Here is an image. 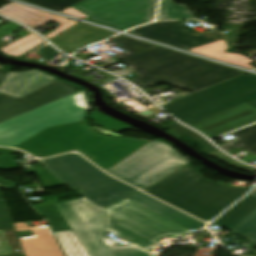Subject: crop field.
Instances as JSON below:
<instances>
[{
	"instance_id": "obj_23",
	"label": "crop field",
	"mask_w": 256,
	"mask_h": 256,
	"mask_svg": "<svg viewBox=\"0 0 256 256\" xmlns=\"http://www.w3.org/2000/svg\"><path fill=\"white\" fill-rule=\"evenodd\" d=\"M250 195L256 196V189ZM232 232L256 244V211L235 227Z\"/></svg>"
},
{
	"instance_id": "obj_20",
	"label": "crop field",
	"mask_w": 256,
	"mask_h": 256,
	"mask_svg": "<svg viewBox=\"0 0 256 256\" xmlns=\"http://www.w3.org/2000/svg\"><path fill=\"white\" fill-rule=\"evenodd\" d=\"M26 31L32 33L31 35L0 49V52L10 56L19 58L25 53L45 43L39 36L35 35L28 29Z\"/></svg>"
},
{
	"instance_id": "obj_36",
	"label": "crop field",
	"mask_w": 256,
	"mask_h": 256,
	"mask_svg": "<svg viewBox=\"0 0 256 256\" xmlns=\"http://www.w3.org/2000/svg\"><path fill=\"white\" fill-rule=\"evenodd\" d=\"M130 129H135V128L122 123L119 126H117L116 128H114L113 131H124V130H130Z\"/></svg>"
},
{
	"instance_id": "obj_14",
	"label": "crop field",
	"mask_w": 256,
	"mask_h": 256,
	"mask_svg": "<svg viewBox=\"0 0 256 256\" xmlns=\"http://www.w3.org/2000/svg\"><path fill=\"white\" fill-rule=\"evenodd\" d=\"M54 79L56 78L40 71L10 72L3 81L0 92L19 98Z\"/></svg>"
},
{
	"instance_id": "obj_18",
	"label": "crop field",
	"mask_w": 256,
	"mask_h": 256,
	"mask_svg": "<svg viewBox=\"0 0 256 256\" xmlns=\"http://www.w3.org/2000/svg\"><path fill=\"white\" fill-rule=\"evenodd\" d=\"M0 10H1L0 11L1 14L9 16L26 25H29L33 22H36L40 19H43L45 17L52 15L37 9L25 7V6L14 4V3Z\"/></svg>"
},
{
	"instance_id": "obj_22",
	"label": "crop field",
	"mask_w": 256,
	"mask_h": 256,
	"mask_svg": "<svg viewBox=\"0 0 256 256\" xmlns=\"http://www.w3.org/2000/svg\"><path fill=\"white\" fill-rule=\"evenodd\" d=\"M55 234L67 256H89L73 230Z\"/></svg>"
},
{
	"instance_id": "obj_6",
	"label": "crop field",
	"mask_w": 256,
	"mask_h": 256,
	"mask_svg": "<svg viewBox=\"0 0 256 256\" xmlns=\"http://www.w3.org/2000/svg\"><path fill=\"white\" fill-rule=\"evenodd\" d=\"M81 92L0 123V146L14 147L47 127L83 120L87 110L74 100Z\"/></svg>"
},
{
	"instance_id": "obj_17",
	"label": "crop field",
	"mask_w": 256,
	"mask_h": 256,
	"mask_svg": "<svg viewBox=\"0 0 256 256\" xmlns=\"http://www.w3.org/2000/svg\"><path fill=\"white\" fill-rule=\"evenodd\" d=\"M227 48H229L226 43L225 39L216 41L201 47H197L191 49L190 51L197 52L206 56H210L219 60H223L229 63H233L242 67H246L249 69L255 68L250 63L254 62L243 55H235L231 53L224 52Z\"/></svg>"
},
{
	"instance_id": "obj_39",
	"label": "crop field",
	"mask_w": 256,
	"mask_h": 256,
	"mask_svg": "<svg viewBox=\"0 0 256 256\" xmlns=\"http://www.w3.org/2000/svg\"><path fill=\"white\" fill-rule=\"evenodd\" d=\"M15 256H24V255H15Z\"/></svg>"
},
{
	"instance_id": "obj_13",
	"label": "crop field",
	"mask_w": 256,
	"mask_h": 256,
	"mask_svg": "<svg viewBox=\"0 0 256 256\" xmlns=\"http://www.w3.org/2000/svg\"><path fill=\"white\" fill-rule=\"evenodd\" d=\"M15 226L17 231L32 230L35 233L34 238L20 241L25 256H63L49 226L32 228L24 223Z\"/></svg>"
},
{
	"instance_id": "obj_35",
	"label": "crop field",
	"mask_w": 256,
	"mask_h": 256,
	"mask_svg": "<svg viewBox=\"0 0 256 256\" xmlns=\"http://www.w3.org/2000/svg\"><path fill=\"white\" fill-rule=\"evenodd\" d=\"M0 184L5 185L11 189H16V187L18 185L17 183H14L12 181H9V180L3 179V178H0Z\"/></svg>"
},
{
	"instance_id": "obj_8",
	"label": "crop field",
	"mask_w": 256,
	"mask_h": 256,
	"mask_svg": "<svg viewBox=\"0 0 256 256\" xmlns=\"http://www.w3.org/2000/svg\"><path fill=\"white\" fill-rule=\"evenodd\" d=\"M83 88L61 80H54L20 98L0 93V122L77 92Z\"/></svg>"
},
{
	"instance_id": "obj_7",
	"label": "crop field",
	"mask_w": 256,
	"mask_h": 256,
	"mask_svg": "<svg viewBox=\"0 0 256 256\" xmlns=\"http://www.w3.org/2000/svg\"><path fill=\"white\" fill-rule=\"evenodd\" d=\"M188 163L175 149L154 140L107 172L143 190Z\"/></svg>"
},
{
	"instance_id": "obj_4",
	"label": "crop field",
	"mask_w": 256,
	"mask_h": 256,
	"mask_svg": "<svg viewBox=\"0 0 256 256\" xmlns=\"http://www.w3.org/2000/svg\"><path fill=\"white\" fill-rule=\"evenodd\" d=\"M221 184L208 182L198 170L188 165L144 192L210 222L251 189L230 188Z\"/></svg>"
},
{
	"instance_id": "obj_27",
	"label": "crop field",
	"mask_w": 256,
	"mask_h": 256,
	"mask_svg": "<svg viewBox=\"0 0 256 256\" xmlns=\"http://www.w3.org/2000/svg\"><path fill=\"white\" fill-rule=\"evenodd\" d=\"M50 21H53L55 23L60 24L58 27H60L59 29L45 35L49 40L54 38L55 36L59 35L60 33L64 32L65 30L69 29L70 27L74 26L75 24H77L78 22L60 17V16H56V15H52L48 18H45L41 21H38L36 23H33L31 25H29L30 27L36 29Z\"/></svg>"
},
{
	"instance_id": "obj_21",
	"label": "crop field",
	"mask_w": 256,
	"mask_h": 256,
	"mask_svg": "<svg viewBox=\"0 0 256 256\" xmlns=\"http://www.w3.org/2000/svg\"><path fill=\"white\" fill-rule=\"evenodd\" d=\"M196 18L186 5H176L173 0H162L157 20Z\"/></svg>"
},
{
	"instance_id": "obj_34",
	"label": "crop field",
	"mask_w": 256,
	"mask_h": 256,
	"mask_svg": "<svg viewBox=\"0 0 256 256\" xmlns=\"http://www.w3.org/2000/svg\"><path fill=\"white\" fill-rule=\"evenodd\" d=\"M62 12L66 13V14H70V15L76 16V17H80V18H83V19L87 18L86 15H84L83 13L77 11L76 9H74L72 7L68 8V9H66V10H64Z\"/></svg>"
},
{
	"instance_id": "obj_37",
	"label": "crop field",
	"mask_w": 256,
	"mask_h": 256,
	"mask_svg": "<svg viewBox=\"0 0 256 256\" xmlns=\"http://www.w3.org/2000/svg\"><path fill=\"white\" fill-rule=\"evenodd\" d=\"M18 153V151L11 150V149H0V154H15Z\"/></svg>"
},
{
	"instance_id": "obj_2",
	"label": "crop field",
	"mask_w": 256,
	"mask_h": 256,
	"mask_svg": "<svg viewBox=\"0 0 256 256\" xmlns=\"http://www.w3.org/2000/svg\"><path fill=\"white\" fill-rule=\"evenodd\" d=\"M114 40L126 51L114 58L140 76L130 82L143 91L163 83L196 93L246 73L122 35Z\"/></svg>"
},
{
	"instance_id": "obj_28",
	"label": "crop field",
	"mask_w": 256,
	"mask_h": 256,
	"mask_svg": "<svg viewBox=\"0 0 256 256\" xmlns=\"http://www.w3.org/2000/svg\"><path fill=\"white\" fill-rule=\"evenodd\" d=\"M22 1L30 2V3L60 12L63 9L69 6H72L82 0H22Z\"/></svg>"
},
{
	"instance_id": "obj_24",
	"label": "crop field",
	"mask_w": 256,
	"mask_h": 256,
	"mask_svg": "<svg viewBox=\"0 0 256 256\" xmlns=\"http://www.w3.org/2000/svg\"><path fill=\"white\" fill-rule=\"evenodd\" d=\"M129 0H85L75 6L77 10L83 12L84 14L90 16L99 11L107 9L119 3H123Z\"/></svg>"
},
{
	"instance_id": "obj_10",
	"label": "crop field",
	"mask_w": 256,
	"mask_h": 256,
	"mask_svg": "<svg viewBox=\"0 0 256 256\" xmlns=\"http://www.w3.org/2000/svg\"><path fill=\"white\" fill-rule=\"evenodd\" d=\"M158 0H132L90 16L86 21L124 31L152 21Z\"/></svg>"
},
{
	"instance_id": "obj_16",
	"label": "crop field",
	"mask_w": 256,
	"mask_h": 256,
	"mask_svg": "<svg viewBox=\"0 0 256 256\" xmlns=\"http://www.w3.org/2000/svg\"><path fill=\"white\" fill-rule=\"evenodd\" d=\"M256 210V197L248 195L212 224L233 229Z\"/></svg>"
},
{
	"instance_id": "obj_33",
	"label": "crop field",
	"mask_w": 256,
	"mask_h": 256,
	"mask_svg": "<svg viewBox=\"0 0 256 256\" xmlns=\"http://www.w3.org/2000/svg\"><path fill=\"white\" fill-rule=\"evenodd\" d=\"M75 99H76V102L83 106L84 108H88L89 106V103H88V100H87V96H86V93H81L79 95H76L75 96Z\"/></svg>"
},
{
	"instance_id": "obj_9",
	"label": "crop field",
	"mask_w": 256,
	"mask_h": 256,
	"mask_svg": "<svg viewBox=\"0 0 256 256\" xmlns=\"http://www.w3.org/2000/svg\"><path fill=\"white\" fill-rule=\"evenodd\" d=\"M186 28L189 27L182 24L181 21L159 22L136 28L129 33L185 50L224 39V37L214 29L196 36L184 30Z\"/></svg>"
},
{
	"instance_id": "obj_32",
	"label": "crop field",
	"mask_w": 256,
	"mask_h": 256,
	"mask_svg": "<svg viewBox=\"0 0 256 256\" xmlns=\"http://www.w3.org/2000/svg\"><path fill=\"white\" fill-rule=\"evenodd\" d=\"M9 228H12V224L10 222L4 203L0 202V230Z\"/></svg>"
},
{
	"instance_id": "obj_26",
	"label": "crop field",
	"mask_w": 256,
	"mask_h": 256,
	"mask_svg": "<svg viewBox=\"0 0 256 256\" xmlns=\"http://www.w3.org/2000/svg\"><path fill=\"white\" fill-rule=\"evenodd\" d=\"M169 126H171L175 129H177L178 131L184 133L189 138L194 140L197 144H199L201 147H203V150L200 151L201 153L206 154V153H209L211 151L217 150V148H215L207 139H205L203 136L199 135L195 131H193V130L187 128V127L181 126L177 122H173V123H171L169 125H166L164 127L167 128Z\"/></svg>"
},
{
	"instance_id": "obj_38",
	"label": "crop field",
	"mask_w": 256,
	"mask_h": 256,
	"mask_svg": "<svg viewBox=\"0 0 256 256\" xmlns=\"http://www.w3.org/2000/svg\"><path fill=\"white\" fill-rule=\"evenodd\" d=\"M9 72L0 70V85Z\"/></svg>"
},
{
	"instance_id": "obj_12",
	"label": "crop field",
	"mask_w": 256,
	"mask_h": 256,
	"mask_svg": "<svg viewBox=\"0 0 256 256\" xmlns=\"http://www.w3.org/2000/svg\"><path fill=\"white\" fill-rule=\"evenodd\" d=\"M113 35L115 34L80 23L50 42L70 54Z\"/></svg>"
},
{
	"instance_id": "obj_25",
	"label": "crop field",
	"mask_w": 256,
	"mask_h": 256,
	"mask_svg": "<svg viewBox=\"0 0 256 256\" xmlns=\"http://www.w3.org/2000/svg\"><path fill=\"white\" fill-rule=\"evenodd\" d=\"M14 254L22 253L13 229L0 231V255Z\"/></svg>"
},
{
	"instance_id": "obj_15",
	"label": "crop field",
	"mask_w": 256,
	"mask_h": 256,
	"mask_svg": "<svg viewBox=\"0 0 256 256\" xmlns=\"http://www.w3.org/2000/svg\"><path fill=\"white\" fill-rule=\"evenodd\" d=\"M190 230L194 229L198 231L205 224L140 192L130 198H128ZM203 228V227H202Z\"/></svg>"
},
{
	"instance_id": "obj_30",
	"label": "crop field",
	"mask_w": 256,
	"mask_h": 256,
	"mask_svg": "<svg viewBox=\"0 0 256 256\" xmlns=\"http://www.w3.org/2000/svg\"><path fill=\"white\" fill-rule=\"evenodd\" d=\"M91 120L95 121L98 125L104 127L105 129H113L117 125H119L121 122L116 121L114 119H111L109 117H106L96 111H93L91 115ZM94 122V123H95Z\"/></svg>"
},
{
	"instance_id": "obj_11",
	"label": "crop field",
	"mask_w": 256,
	"mask_h": 256,
	"mask_svg": "<svg viewBox=\"0 0 256 256\" xmlns=\"http://www.w3.org/2000/svg\"><path fill=\"white\" fill-rule=\"evenodd\" d=\"M256 122V108L244 102L189 125L212 138Z\"/></svg>"
},
{
	"instance_id": "obj_19",
	"label": "crop field",
	"mask_w": 256,
	"mask_h": 256,
	"mask_svg": "<svg viewBox=\"0 0 256 256\" xmlns=\"http://www.w3.org/2000/svg\"><path fill=\"white\" fill-rule=\"evenodd\" d=\"M231 134L236 138L230 142L219 145L222 149L229 152L240 147L256 154V124Z\"/></svg>"
},
{
	"instance_id": "obj_31",
	"label": "crop field",
	"mask_w": 256,
	"mask_h": 256,
	"mask_svg": "<svg viewBox=\"0 0 256 256\" xmlns=\"http://www.w3.org/2000/svg\"><path fill=\"white\" fill-rule=\"evenodd\" d=\"M35 53L44 55L43 57L39 58V60L44 62V63L50 61L55 56L60 54L58 51H56L55 49H53L49 45H46V46H43V47L39 48L37 51H35Z\"/></svg>"
},
{
	"instance_id": "obj_1",
	"label": "crop field",
	"mask_w": 256,
	"mask_h": 256,
	"mask_svg": "<svg viewBox=\"0 0 256 256\" xmlns=\"http://www.w3.org/2000/svg\"><path fill=\"white\" fill-rule=\"evenodd\" d=\"M38 162L69 189H78L84 196L56 205L90 256H155L132 244L124 247L107 244L106 230L147 250L155 248L165 236L193 233L127 199L104 210L138 190L103 173L79 154Z\"/></svg>"
},
{
	"instance_id": "obj_3",
	"label": "crop field",
	"mask_w": 256,
	"mask_h": 256,
	"mask_svg": "<svg viewBox=\"0 0 256 256\" xmlns=\"http://www.w3.org/2000/svg\"><path fill=\"white\" fill-rule=\"evenodd\" d=\"M149 143L129 137H107L90 130L85 121L47 128L15 148L37 158L79 151L104 170H108ZM85 156V157H86Z\"/></svg>"
},
{
	"instance_id": "obj_5",
	"label": "crop field",
	"mask_w": 256,
	"mask_h": 256,
	"mask_svg": "<svg viewBox=\"0 0 256 256\" xmlns=\"http://www.w3.org/2000/svg\"><path fill=\"white\" fill-rule=\"evenodd\" d=\"M244 101L256 107L254 75H242L164 105L162 108L189 125Z\"/></svg>"
},
{
	"instance_id": "obj_29",
	"label": "crop field",
	"mask_w": 256,
	"mask_h": 256,
	"mask_svg": "<svg viewBox=\"0 0 256 256\" xmlns=\"http://www.w3.org/2000/svg\"><path fill=\"white\" fill-rule=\"evenodd\" d=\"M206 155H209L219 161H222L230 166H233L237 169H240V170H243V171H246V172H253L256 168H253V167H250V166H247L233 158H231L230 156L222 153L221 151L217 150V151H214L212 153H209V154H206Z\"/></svg>"
}]
</instances>
